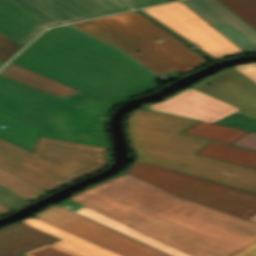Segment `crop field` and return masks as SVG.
Returning <instances> with one entry per match:
<instances>
[{
    "mask_svg": "<svg viewBox=\"0 0 256 256\" xmlns=\"http://www.w3.org/2000/svg\"><path fill=\"white\" fill-rule=\"evenodd\" d=\"M69 198L193 256H256V223L168 194L132 175Z\"/></svg>",
    "mask_w": 256,
    "mask_h": 256,
    "instance_id": "obj_1",
    "label": "crop field"
},
{
    "mask_svg": "<svg viewBox=\"0 0 256 256\" xmlns=\"http://www.w3.org/2000/svg\"><path fill=\"white\" fill-rule=\"evenodd\" d=\"M0 75L63 99L83 91L114 105L158 88L123 53L67 26L41 34Z\"/></svg>",
    "mask_w": 256,
    "mask_h": 256,
    "instance_id": "obj_2",
    "label": "crop field"
},
{
    "mask_svg": "<svg viewBox=\"0 0 256 256\" xmlns=\"http://www.w3.org/2000/svg\"><path fill=\"white\" fill-rule=\"evenodd\" d=\"M194 122L137 108L128 119L136 159L256 194V169L195 154L210 141L179 134Z\"/></svg>",
    "mask_w": 256,
    "mask_h": 256,
    "instance_id": "obj_3",
    "label": "crop field"
},
{
    "mask_svg": "<svg viewBox=\"0 0 256 256\" xmlns=\"http://www.w3.org/2000/svg\"><path fill=\"white\" fill-rule=\"evenodd\" d=\"M113 107L83 92L63 100L0 76V109L41 128L40 136L106 147L104 120Z\"/></svg>",
    "mask_w": 256,
    "mask_h": 256,
    "instance_id": "obj_4",
    "label": "crop field"
},
{
    "mask_svg": "<svg viewBox=\"0 0 256 256\" xmlns=\"http://www.w3.org/2000/svg\"><path fill=\"white\" fill-rule=\"evenodd\" d=\"M70 26L127 53L156 75L172 70L184 74L207 63L187 45L137 11Z\"/></svg>",
    "mask_w": 256,
    "mask_h": 256,
    "instance_id": "obj_5",
    "label": "crop field"
},
{
    "mask_svg": "<svg viewBox=\"0 0 256 256\" xmlns=\"http://www.w3.org/2000/svg\"><path fill=\"white\" fill-rule=\"evenodd\" d=\"M107 164L105 147L38 136L30 152L0 138V167L47 192Z\"/></svg>",
    "mask_w": 256,
    "mask_h": 256,
    "instance_id": "obj_6",
    "label": "crop field"
},
{
    "mask_svg": "<svg viewBox=\"0 0 256 256\" xmlns=\"http://www.w3.org/2000/svg\"><path fill=\"white\" fill-rule=\"evenodd\" d=\"M166 0H0V33L24 46L43 28Z\"/></svg>",
    "mask_w": 256,
    "mask_h": 256,
    "instance_id": "obj_7",
    "label": "crop field"
},
{
    "mask_svg": "<svg viewBox=\"0 0 256 256\" xmlns=\"http://www.w3.org/2000/svg\"><path fill=\"white\" fill-rule=\"evenodd\" d=\"M171 194L216 210L249 218L256 213V195L213 184L135 160L126 171Z\"/></svg>",
    "mask_w": 256,
    "mask_h": 256,
    "instance_id": "obj_8",
    "label": "crop field"
},
{
    "mask_svg": "<svg viewBox=\"0 0 256 256\" xmlns=\"http://www.w3.org/2000/svg\"><path fill=\"white\" fill-rule=\"evenodd\" d=\"M33 216L123 256H167L57 204Z\"/></svg>",
    "mask_w": 256,
    "mask_h": 256,
    "instance_id": "obj_9",
    "label": "crop field"
},
{
    "mask_svg": "<svg viewBox=\"0 0 256 256\" xmlns=\"http://www.w3.org/2000/svg\"><path fill=\"white\" fill-rule=\"evenodd\" d=\"M144 10L216 59L241 51L180 1Z\"/></svg>",
    "mask_w": 256,
    "mask_h": 256,
    "instance_id": "obj_10",
    "label": "crop field"
},
{
    "mask_svg": "<svg viewBox=\"0 0 256 256\" xmlns=\"http://www.w3.org/2000/svg\"><path fill=\"white\" fill-rule=\"evenodd\" d=\"M146 109L209 123L240 110L192 87Z\"/></svg>",
    "mask_w": 256,
    "mask_h": 256,
    "instance_id": "obj_11",
    "label": "crop field"
},
{
    "mask_svg": "<svg viewBox=\"0 0 256 256\" xmlns=\"http://www.w3.org/2000/svg\"><path fill=\"white\" fill-rule=\"evenodd\" d=\"M186 6L245 53L256 50V30L217 0H182Z\"/></svg>",
    "mask_w": 256,
    "mask_h": 256,
    "instance_id": "obj_12",
    "label": "crop field"
},
{
    "mask_svg": "<svg viewBox=\"0 0 256 256\" xmlns=\"http://www.w3.org/2000/svg\"><path fill=\"white\" fill-rule=\"evenodd\" d=\"M212 83L209 86L205 83ZM192 87L241 108L242 114L256 119V83L228 68L204 78Z\"/></svg>",
    "mask_w": 256,
    "mask_h": 256,
    "instance_id": "obj_13",
    "label": "crop field"
},
{
    "mask_svg": "<svg viewBox=\"0 0 256 256\" xmlns=\"http://www.w3.org/2000/svg\"><path fill=\"white\" fill-rule=\"evenodd\" d=\"M60 240L20 222L0 229V256H25L20 252Z\"/></svg>",
    "mask_w": 256,
    "mask_h": 256,
    "instance_id": "obj_14",
    "label": "crop field"
},
{
    "mask_svg": "<svg viewBox=\"0 0 256 256\" xmlns=\"http://www.w3.org/2000/svg\"><path fill=\"white\" fill-rule=\"evenodd\" d=\"M31 217L21 220V222L47 232L65 241L56 246L64 248L80 256H121L69 232L59 229L53 225L43 222L37 218L33 219Z\"/></svg>",
    "mask_w": 256,
    "mask_h": 256,
    "instance_id": "obj_15",
    "label": "crop field"
},
{
    "mask_svg": "<svg viewBox=\"0 0 256 256\" xmlns=\"http://www.w3.org/2000/svg\"><path fill=\"white\" fill-rule=\"evenodd\" d=\"M7 126L5 129L0 127V137L32 150L39 128L26 123L14 116L0 110V126Z\"/></svg>",
    "mask_w": 256,
    "mask_h": 256,
    "instance_id": "obj_16",
    "label": "crop field"
},
{
    "mask_svg": "<svg viewBox=\"0 0 256 256\" xmlns=\"http://www.w3.org/2000/svg\"><path fill=\"white\" fill-rule=\"evenodd\" d=\"M84 216H87L95 221H98L108 227H111L119 232H122L130 237H133L141 242H144L152 247H155L163 252H166L172 256H190V255H187L177 249H174L166 244H163L153 238H150L140 232H137L115 220H112L88 207H84L78 211H76Z\"/></svg>",
    "mask_w": 256,
    "mask_h": 256,
    "instance_id": "obj_17",
    "label": "crop field"
},
{
    "mask_svg": "<svg viewBox=\"0 0 256 256\" xmlns=\"http://www.w3.org/2000/svg\"><path fill=\"white\" fill-rule=\"evenodd\" d=\"M198 154L256 168V151L211 141Z\"/></svg>",
    "mask_w": 256,
    "mask_h": 256,
    "instance_id": "obj_18",
    "label": "crop field"
},
{
    "mask_svg": "<svg viewBox=\"0 0 256 256\" xmlns=\"http://www.w3.org/2000/svg\"><path fill=\"white\" fill-rule=\"evenodd\" d=\"M249 131L200 122L182 132L231 144Z\"/></svg>",
    "mask_w": 256,
    "mask_h": 256,
    "instance_id": "obj_19",
    "label": "crop field"
},
{
    "mask_svg": "<svg viewBox=\"0 0 256 256\" xmlns=\"http://www.w3.org/2000/svg\"><path fill=\"white\" fill-rule=\"evenodd\" d=\"M0 184L30 201L45 194L43 193L45 192L44 190L24 181L23 179L1 168Z\"/></svg>",
    "mask_w": 256,
    "mask_h": 256,
    "instance_id": "obj_20",
    "label": "crop field"
},
{
    "mask_svg": "<svg viewBox=\"0 0 256 256\" xmlns=\"http://www.w3.org/2000/svg\"><path fill=\"white\" fill-rule=\"evenodd\" d=\"M228 9L256 29V0H219Z\"/></svg>",
    "mask_w": 256,
    "mask_h": 256,
    "instance_id": "obj_21",
    "label": "crop field"
},
{
    "mask_svg": "<svg viewBox=\"0 0 256 256\" xmlns=\"http://www.w3.org/2000/svg\"><path fill=\"white\" fill-rule=\"evenodd\" d=\"M214 124L241 128L256 132V120L238 113H233L215 122Z\"/></svg>",
    "mask_w": 256,
    "mask_h": 256,
    "instance_id": "obj_22",
    "label": "crop field"
},
{
    "mask_svg": "<svg viewBox=\"0 0 256 256\" xmlns=\"http://www.w3.org/2000/svg\"><path fill=\"white\" fill-rule=\"evenodd\" d=\"M26 202H28V200L0 185V203L2 205L12 210Z\"/></svg>",
    "mask_w": 256,
    "mask_h": 256,
    "instance_id": "obj_23",
    "label": "crop field"
},
{
    "mask_svg": "<svg viewBox=\"0 0 256 256\" xmlns=\"http://www.w3.org/2000/svg\"><path fill=\"white\" fill-rule=\"evenodd\" d=\"M23 254L27 256H78L64 249L58 248L52 244Z\"/></svg>",
    "mask_w": 256,
    "mask_h": 256,
    "instance_id": "obj_24",
    "label": "crop field"
},
{
    "mask_svg": "<svg viewBox=\"0 0 256 256\" xmlns=\"http://www.w3.org/2000/svg\"><path fill=\"white\" fill-rule=\"evenodd\" d=\"M22 47L13 43L6 37L0 34V61L5 62L10 58L15 52H17Z\"/></svg>",
    "mask_w": 256,
    "mask_h": 256,
    "instance_id": "obj_25",
    "label": "crop field"
},
{
    "mask_svg": "<svg viewBox=\"0 0 256 256\" xmlns=\"http://www.w3.org/2000/svg\"><path fill=\"white\" fill-rule=\"evenodd\" d=\"M233 145L242 146L256 150V133L250 132L241 139L233 143Z\"/></svg>",
    "mask_w": 256,
    "mask_h": 256,
    "instance_id": "obj_26",
    "label": "crop field"
},
{
    "mask_svg": "<svg viewBox=\"0 0 256 256\" xmlns=\"http://www.w3.org/2000/svg\"><path fill=\"white\" fill-rule=\"evenodd\" d=\"M233 68L256 82V63L236 65Z\"/></svg>",
    "mask_w": 256,
    "mask_h": 256,
    "instance_id": "obj_27",
    "label": "crop field"
},
{
    "mask_svg": "<svg viewBox=\"0 0 256 256\" xmlns=\"http://www.w3.org/2000/svg\"><path fill=\"white\" fill-rule=\"evenodd\" d=\"M8 211H10V210L0 204V214H3Z\"/></svg>",
    "mask_w": 256,
    "mask_h": 256,
    "instance_id": "obj_28",
    "label": "crop field"
},
{
    "mask_svg": "<svg viewBox=\"0 0 256 256\" xmlns=\"http://www.w3.org/2000/svg\"><path fill=\"white\" fill-rule=\"evenodd\" d=\"M248 220L256 222V214L254 216H252L251 218H249Z\"/></svg>",
    "mask_w": 256,
    "mask_h": 256,
    "instance_id": "obj_29",
    "label": "crop field"
},
{
    "mask_svg": "<svg viewBox=\"0 0 256 256\" xmlns=\"http://www.w3.org/2000/svg\"><path fill=\"white\" fill-rule=\"evenodd\" d=\"M3 63L0 62V66L2 65Z\"/></svg>",
    "mask_w": 256,
    "mask_h": 256,
    "instance_id": "obj_30",
    "label": "crop field"
}]
</instances>
